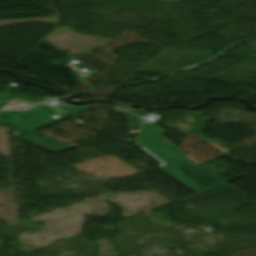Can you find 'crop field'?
Masks as SVG:
<instances>
[{"instance_id": "crop-field-2", "label": "crop field", "mask_w": 256, "mask_h": 256, "mask_svg": "<svg viewBox=\"0 0 256 256\" xmlns=\"http://www.w3.org/2000/svg\"><path fill=\"white\" fill-rule=\"evenodd\" d=\"M161 170L176 178L198 194L226 184L187 158L169 164Z\"/></svg>"}, {"instance_id": "crop-field-4", "label": "crop field", "mask_w": 256, "mask_h": 256, "mask_svg": "<svg viewBox=\"0 0 256 256\" xmlns=\"http://www.w3.org/2000/svg\"><path fill=\"white\" fill-rule=\"evenodd\" d=\"M120 113L129 119L131 123V129H139L140 124H139L138 117L134 116L129 112H120Z\"/></svg>"}, {"instance_id": "crop-field-3", "label": "crop field", "mask_w": 256, "mask_h": 256, "mask_svg": "<svg viewBox=\"0 0 256 256\" xmlns=\"http://www.w3.org/2000/svg\"><path fill=\"white\" fill-rule=\"evenodd\" d=\"M163 131L154 125L143 124L139 146L154 155L164 164L178 160L184 155L162 139Z\"/></svg>"}, {"instance_id": "crop-field-1", "label": "crop field", "mask_w": 256, "mask_h": 256, "mask_svg": "<svg viewBox=\"0 0 256 256\" xmlns=\"http://www.w3.org/2000/svg\"><path fill=\"white\" fill-rule=\"evenodd\" d=\"M54 114L55 109L42 104L24 112H0V126L14 129L22 133V140L31 145L46 149L53 153H59L75 146L47 136L37 137L31 134L37 129L54 122L56 119L51 117Z\"/></svg>"}]
</instances>
